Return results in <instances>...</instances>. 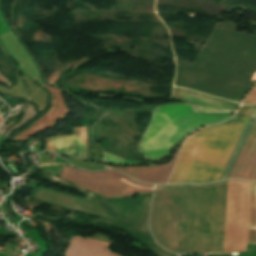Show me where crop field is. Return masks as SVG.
<instances>
[{
  "label": "crop field",
  "mask_w": 256,
  "mask_h": 256,
  "mask_svg": "<svg viewBox=\"0 0 256 256\" xmlns=\"http://www.w3.org/2000/svg\"><path fill=\"white\" fill-rule=\"evenodd\" d=\"M253 105H243L230 120L188 137L168 184L216 181Z\"/></svg>",
  "instance_id": "obj_2"
},
{
  "label": "crop field",
  "mask_w": 256,
  "mask_h": 256,
  "mask_svg": "<svg viewBox=\"0 0 256 256\" xmlns=\"http://www.w3.org/2000/svg\"><path fill=\"white\" fill-rule=\"evenodd\" d=\"M104 158H105V162L116 164V165H133V164H137L136 162L124 161L122 159H119V158H117L115 156H112V155L106 154V153H104Z\"/></svg>",
  "instance_id": "obj_13"
},
{
  "label": "crop field",
  "mask_w": 256,
  "mask_h": 256,
  "mask_svg": "<svg viewBox=\"0 0 256 256\" xmlns=\"http://www.w3.org/2000/svg\"><path fill=\"white\" fill-rule=\"evenodd\" d=\"M60 177L105 197L129 196L137 192L148 193L152 192L154 187L143 185L114 171L85 172L64 167Z\"/></svg>",
  "instance_id": "obj_4"
},
{
  "label": "crop field",
  "mask_w": 256,
  "mask_h": 256,
  "mask_svg": "<svg viewBox=\"0 0 256 256\" xmlns=\"http://www.w3.org/2000/svg\"><path fill=\"white\" fill-rule=\"evenodd\" d=\"M172 98L182 100V101H187V102L201 103V104H206L210 106L226 108V109H238L239 107V104L234 102L210 97L207 95H203L200 93H196L190 90L180 89V88L174 89Z\"/></svg>",
  "instance_id": "obj_11"
},
{
  "label": "crop field",
  "mask_w": 256,
  "mask_h": 256,
  "mask_svg": "<svg viewBox=\"0 0 256 256\" xmlns=\"http://www.w3.org/2000/svg\"><path fill=\"white\" fill-rule=\"evenodd\" d=\"M244 103H256V85L253 87L251 92L245 98Z\"/></svg>",
  "instance_id": "obj_14"
},
{
  "label": "crop field",
  "mask_w": 256,
  "mask_h": 256,
  "mask_svg": "<svg viewBox=\"0 0 256 256\" xmlns=\"http://www.w3.org/2000/svg\"><path fill=\"white\" fill-rule=\"evenodd\" d=\"M250 182L229 181L224 252L246 251Z\"/></svg>",
  "instance_id": "obj_5"
},
{
  "label": "crop field",
  "mask_w": 256,
  "mask_h": 256,
  "mask_svg": "<svg viewBox=\"0 0 256 256\" xmlns=\"http://www.w3.org/2000/svg\"><path fill=\"white\" fill-rule=\"evenodd\" d=\"M248 243L256 244V183L251 182Z\"/></svg>",
  "instance_id": "obj_12"
},
{
  "label": "crop field",
  "mask_w": 256,
  "mask_h": 256,
  "mask_svg": "<svg viewBox=\"0 0 256 256\" xmlns=\"http://www.w3.org/2000/svg\"><path fill=\"white\" fill-rule=\"evenodd\" d=\"M255 113H256V105L253 106V108H252V110H251V112L248 116V119H247V121H246V123H245V125L242 129V132H241V134H240V136H239V138H238V140L235 144V147H234V149H233L229 158H234L235 157V155H236V153H237V151H238V149H239V147L242 143V140H243L250 124H251V121H252ZM255 121H256V115H255V117L252 121V124H251V126H250V128H249V130H248V132H247V134H246V136L243 140V143H242V145H241V147H240V149H239L235 158H237L238 156L241 155V153L244 149V146H245V144L248 140V137L251 133V130H252L254 124H255ZM241 156L256 157V124L253 128V131H252V133L249 137V140H248V142L245 146V149H244ZM235 160L236 159H229L228 160V162H227L219 180L228 179ZM255 175H256V158L239 157L229 178H245V179L253 180ZM254 180H256V177H255Z\"/></svg>",
  "instance_id": "obj_6"
},
{
  "label": "crop field",
  "mask_w": 256,
  "mask_h": 256,
  "mask_svg": "<svg viewBox=\"0 0 256 256\" xmlns=\"http://www.w3.org/2000/svg\"><path fill=\"white\" fill-rule=\"evenodd\" d=\"M79 238V237H76ZM73 238L71 241L68 250L66 252V256H121L115 253L110 252L107 248L109 247L108 245H111L109 243H104V242H99V243H104V244H99V243H94L90 241H85V240H80Z\"/></svg>",
  "instance_id": "obj_10"
},
{
  "label": "crop field",
  "mask_w": 256,
  "mask_h": 256,
  "mask_svg": "<svg viewBox=\"0 0 256 256\" xmlns=\"http://www.w3.org/2000/svg\"><path fill=\"white\" fill-rule=\"evenodd\" d=\"M0 82L5 83L6 81L0 76Z\"/></svg>",
  "instance_id": "obj_15"
},
{
  "label": "crop field",
  "mask_w": 256,
  "mask_h": 256,
  "mask_svg": "<svg viewBox=\"0 0 256 256\" xmlns=\"http://www.w3.org/2000/svg\"><path fill=\"white\" fill-rule=\"evenodd\" d=\"M73 132H74V134L69 135V136H73L80 143H82L84 145V152H83V145L80 144L73 137H60V138L52 137L55 139L49 138L51 140L48 141V146H50L55 151L61 153L62 155H66V156L82 158V152H83V159H86V129L85 128H73ZM56 137H59V136H56ZM47 140H46V150L45 151H53L51 148H49L47 146Z\"/></svg>",
  "instance_id": "obj_8"
},
{
  "label": "crop field",
  "mask_w": 256,
  "mask_h": 256,
  "mask_svg": "<svg viewBox=\"0 0 256 256\" xmlns=\"http://www.w3.org/2000/svg\"><path fill=\"white\" fill-rule=\"evenodd\" d=\"M51 93V108L41 116L37 121L30 125L26 130L20 132L12 138V140H24L38 132L54 127L60 120L69 113L65 101L63 99L62 90L43 86Z\"/></svg>",
  "instance_id": "obj_7"
},
{
  "label": "crop field",
  "mask_w": 256,
  "mask_h": 256,
  "mask_svg": "<svg viewBox=\"0 0 256 256\" xmlns=\"http://www.w3.org/2000/svg\"><path fill=\"white\" fill-rule=\"evenodd\" d=\"M174 159L170 163L163 166H151V167H139V168H116V167L110 166V168L122 171L132 176L133 178L143 181L145 183L165 184L167 182Z\"/></svg>",
  "instance_id": "obj_9"
},
{
  "label": "crop field",
  "mask_w": 256,
  "mask_h": 256,
  "mask_svg": "<svg viewBox=\"0 0 256 256\" xmlns=\"http://www.w3.org/2000/svg\"><path fill=\"white\" fill-rule=\"evenodd\" d=\"M227 188L228 181L158 186L149 220L154 239L174 253L223 252Z\"/></svg>",
  "instance_id": "obj_1"
},
{
  "label": "crop field",
  "mask_w": 256,
  "mask_h": 256,
  "mask_svg": "<svg viewBox=\"0 0 256 256\" xmlns=\"http://www.w3.org/2000/svg\"><path fill=\"white\" fill-rule=\"evenodd\" d=\"M182 104L226 110L193 103ZM186 105L164 104L154 108L152 121L138 148V151L145 153V159L155 162L164 159L192 131L228 119L232 112H236Z\"/></svg>",
  "instance_id": "obj_3"
}]
</instances>
